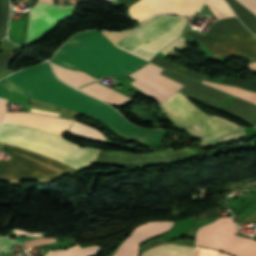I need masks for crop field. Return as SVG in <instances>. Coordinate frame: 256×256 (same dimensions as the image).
I'll list each match as a JSON object with an SVG mask.
<instances>
[{
    "mask_svg": "<svg viewBox=\"0 0 256 256\" xmlns=\"http://www.w3.org/2000/svg\"><path fill=\"white\" fill-rule=\"evenodd\" d=\"M242 22L256 35V17L235 0H226ZM240 20V21H241Z\"/></svg>",
    "mask_w": 256,
    "mask_h": 256,
    "instance_id": "obj_20",
    "label": "crop field"
},
{
    "mask_svg": "<svg viewBox=\"0 0 256 256\" xmlns=\"http://www.w3.org/2000/svg\"><path fill=\"white\" fill-rule=\"evenodd\" d=\"M76 5L68 8L39 3L30 11L26 44L33 43L54 30L58 23L72 17Z\"/></svg>",
    "mask_w": 256,
    "mask_h": 256,
    "instance_id": "obj_8",
    "label": "crop field"
},
{
    "mask_svg": "<svg viewBox=\"0 0 256 256\" xmlns=\"http://www.w3.org/2000/svg\"><path fill=\"white\" fill-rule=\"evenodd\" d=\"M161 74L185 85L179 91L216 107H218L229 97L227 94L203 86L195 81L179 76L166 69H164Z\"/></svg>",
    "mask_w": 256,
    "mask_h": 256,
    "instance_id": "obj_14",
    "label": "crop field"
},
{
    "mask_svg": "<svg viewBox=\"0 0 256 256\" xmlns=\"http://www.w3.org/2000/svg\"><path fill=\"white\" fill-rule=\"evenodd\" d=\"M29 234L30 233H28V232L14 229L9 235H27V236H29ZM9 235H7V236H9Z\"/></svg>",
    "mask_w": 256,
    "mask_h": 256,
    "instance_id": "obj_33",
    "label": "crop field"
},
{
    "mask_svg": "<svg viewBox=\"0 0 256 256\" xmlns=\"http://www.w3.org/2000/svg\"><path fill=\"white\" fill-rule=\"evenodd\" d=\"M52 60L96 77L128 74L147 62L117 48L99 31L74 35Z\"/></svg>",
    "mask_w": 256,
    "mask_h": 256,
    "instance_id": "obj_3",
    "label": "crop field"
},
{
    "mask_svg": "<svg viewBox=\"0 0 256 256\" xmlns=\"http://www.w3.org/2000/svg\"><path fill=\"white\" fill-rule=\"evenodd\" d=\"M43 234V233H42ZM41 233H32L31 236H40ZM42 236V235H41Z\"/></svg>",
    "mask_w": 256,
    "mask_h": 256,
    "instance_id": "obj_36",
    "label": "crop field"
},
{
    "mask_svg": "<svg viewBox=\"0 0 256 256\" xmlns=\"http://www.w3.org/2000/svg\"><path fill=\"white\" fill-rule=\"evenodd\" d=\"M158 107L169 120L191 134L195 140L215 137L242 128L221 117L204 113L179 92Z\"/></svg>",
    "mask_w": 256,
    "mask_h": 256,
    "instance_id": "obj_5",
    "label": "crop field"
},
{
    "mask_svg": "<svg viewBox=\"0 0 256 256\" xmlns=\"http://www.w3.org/2000/svg\"><path fill=\"white\" fill-rule=\"evenodd\" d=\"M225 110L246 119L256 126V105L237 98Z\"/></svg>",
    "mask_w": 256,
    "mask_h": 256,
    "instance_id": "obj_18",
    "label": "crop field"
},
{
    "mask_svg": "<svg viewBox=\"0 0 256 256\" xmlns=\"http://www.w3.org/2000/svg\"><path fill=\"white\" fill-rule=\"evenodd\" d=\"M6 113V105L5 100L0 99V124L2 122V119Z\"/></svg>",
    "mask_w": 256,
    "mask_h": 256,
    "instance_id": "obj_32",
    "label": "crop field"
},
{
    "mask_svg": "<svg viewBox=\"0 0 256 256\" xmlns=\"http://www.w3.org/2000/svg\"><path fill=\"white\" fill-rule=\"evenodd\" d=\"M173 224L170 221H154L138 226L113 256H138L140 242L164 231H168Z\"/></svg>",
    "mask_w": 256,
    "mask_h": 256,
    "instance_id": "obj_13",
    "label": "crop field"
},
{
    "mask_svg": "<svg viewBox=\"0 0 256 256\" xmlns=\"http://www.w3.org/2000/svg\"><path fill=\"white\" fill-rule=\"evenodd\" d=\"M80 90H82L94 97H97L101 100L115 103V104H122V103H125L130 100L127 97H125L124 95H122L118 92H115L110 88L99 85L97 83L88 85Z\"/></svg>",
    "mask_w": 256,
    "mask_h": 256,
    "instance_id": "obj_15",
    "label": "crop field"
},
{
    "mask_svg": "<svg viewBox=\"0 0 256 256\" xmlns=\"http://www.w3.org/2000/svg\"><path fill=\"white\" fill-rule=\"evenodd\" d=\"M151 62L153 63H156L160 66H163L177 74H180V75H183L185 77H188V78H191V79H194L196 81H199L201 82V80L204 78V75H201V74H198V73H195L187 68H184L180 65H177L175 63H172L168 60H165L163 58H160L158 56L154 57Z\"/></svg>",
    "mask_w": 256,
    "mask_h": 256,
    "instance_id": "obj_19",
    "label": "crop field"
},
{
    "mask_svg": "<svg viewBox=\"0 0 256 256\" xmlns=\"http://www.w3.org/2000/svg\"><path fill=\"white\" fill-rule=\"evenodd\" d=\"M51 64H52L55 74L62 81L66 82L74 87H79L81 85H84L86 83L96 80L95 78H93L83 72L69 70V69L60 67L52 62H51Z\"/></svg>",
    "mask_w": 256,
    "mask_h": 256,
    "instance_id": "obj_16",
    "label": "crop field"
},
{
    "mask_svg": "<svg viewBox=\"0 0 256 256\" xmlns=\"http://www.w3.org/2000/svg\"><path fill=\"white\" fill-rule=\"evenodd\" d=\"M9 91L87 114L102 121L118 135L136 139L145 145L157 140L164 132L133 126L107 104L58 80L48 62L1 79L0 97L6 98Z\"/></svg>",
    "mask_w": 256,
    "mask_h": 256,
    "instance_id": "obj_1",
    "label": "crop field"
},
{
    "mask_svg": "<svg viewBox=\"0 0 256 256\" xmlns=\"http://www.w3.org/2000/svg\"><path fill=\"white\" fill-rule=\"evenodd\" d=\"M237 232L238 227L231 217L219 218L198 230L196 245L219 249L236 256H256V241L237 237Z\"/></svg>",
    "mask_w": 256,
    "mask_h": 256,
    "instance_id": "obj_7",
    "label": "crop field"
},
{
    "mask_svg": "<svg viewBox=\"0 0 256 256\" xmlns=\"http://www.w3.org/2000/svg\"><path fill=\"white\" fill-rule=\"evenodd\" d=\"M3 122L27 125L50 131L60 136L67 131L69 125L72 123L71 120L17 112H8ZM46 131L3 123L0 131V141L41 152L66 164L72 165L76 169L88 166L94 162L99 152L98 149L80 148L78 145ZM2 146L34 160L52 165L63 171L71 169L62 163L33 152L4 144H2Z\"/></svg>",
    "mask_w": 256,
    "mask_h": 256,
    "instance_id": "obj_2",
    "label": "crop field"
},
{
    "mask_svg": "<svg viewBox=\"0 0 256 256\" xmlns=\"http://www.w3.org/2000/svg\"><path fill=\"white\" fill-rule=\"evenodd\" d=\"M135 0H118V5L132 3Z\"/></svg>",
    "mask_w": 256,
    "mask_h": 256,
    "instance_id": "obj_34",
    "label": "crop field"
},
{
    "mask_svg": "<svg viewBox=\"0 0 256 256\" xmlns=\"http://www.w3.org/2000/svg\"><path fill=\"white\" fill-rule=\"evenodd\" d=\"M185 34L200 40L214 56L240 54L256 59V37L237 18L216 22L205 37L190 30Z\"/></svg>",
    "mask_w": 256,
    "mask_h": 256,
    "instance_id": "obj_6",
    "label": "crop field"
},
{
    "mask_svg": "<svg viewBox=\"0 0 256 256\" xmlns=\"http://www.w3.org/2000/svg\"><path fill=\"white\" fill-rule=\"evenodd\" d=\"M196 153L198 152L184 147L177 149L175 151L172 148H169L167 150L158 151L151 154H129L101 150L95 162L119 163L123 165H138L153 162H166L178 160L187 156L194 155Z\"/></svg>",
    "mask_w": 256,
    "mask_h": 256,
    "instance_id": "obj_10",
    "label": "crop field"
},
{
    "mask_svg": "<svg viewBox=\"0 0 256 256\" xmlns=\"http://www.w3.org/2000/svg\"><path fill=\"white\" fill-rule=\"evenodd\" d=\"M204 0H140L129 9L136 20L141 21L158 12L183 15L196 14Z\"/></svg>",
    "mask_w": 256,
    "mask_h": 256,
    "instance_id": "obj_11",
    "label": "crop field"
},
{
    "mask_svg": "<svg viewBox=\"0 0 256 256\" xmlns=\"http://www.w3.org/2000/svg\"><path fill=\"white\" fill-rule=\"evenodd\" d=\"M218 19L236 16L224 0H207L205 3Z\"/></svg>",
    "mask_w": 256,
    "mask_h": 256,
    "instance_id": "obj_23",
    "label": "crop field"
},
{
    "mask_svg": "<svg viewBox=\"0 0 256 256\" xmlns=\"http://www.w3.org/2000/svg\"><path fill=\"white\" fill-rule=\"evenodd\" d=\"M203 84L211 86L213 88L225 91L227 93H230L232 95H235L237 97L243 98L245 100H248L250 102H253L256 104V94L255 93H251V92H247L238 88H234V87H230V86H226V85H220V84H214V83H210V82H206L203 81Z\"/></svg>",
    "mask_w": 256,
    "mask_h": 256,
    "instance_id": "obj_22",
    "label": "crop field"
},
{
    "mask_svg": "<svg viewBox=\"0 0 256 256\" xmlns=\"http://www.w3.org/2000/svg\"><path fill=\"white\" fill-rule=\"evenodd\" d=\"M58 174L37 162L14 153L8 162L0 161V177L6 179L24 177L51 178Z\"/></svg>",
    "mask_w": 256,
    "mask_h": 256,
    "instance_id": "obj_12",
    "label": "crop field"
},
{
    "mask_svg": "<svg viewBox=\"0 0 256 256\" xmlns=\"http://www.w3.org/2000/svg\"><path fill=\"white\" fill-rule=\"evenodd\" d=\"M74 130L76 131H79V132H82V133H85V134H89V135H94V136H99V137H103V138H106L104 135H102L100 132L90 128V127H87L85 125H82L78 122H74L72 127ZM69 129V131L79 135V136H82V137H86V138H90V139H94V140H98V141H102L104 142L105 139L103 138H99V137H94V136H89V135H85V134H82V133H78L76 131H74L73 129Z\"/></svg>",
    "mask_w": 256,
    "mask_h": 256,
    "instance_id": "obj_24",
    "label": "crop field"
},
{
    "mask_svg": "<svg viewBox=\"0 0 256 256\" xmlns=\"http://www.w3.org/2000/svg\"><path fill=\"white\" fill-rule=\"evenodd\" d=\"M242 5H244L251 12L256 14V0H238Z\"/></svg>",
    "mask_w": 256,
    "mask_h": 256,
    "instance_id": "obj_30",
    "label": "crop field"
},
{
    "mask_svg": "<svg viewBox=\"0 0 256 256\" xmlns=\"http://www.w3.org/2000/svg\"><path fill=\"white\" fill-rule=\"evenodd\" d=\"M184 43H186V40L182 38V36L180 38H178L176 41H174L172 44H170L168 47H166L164 50H162L161 52L165 53L171 49H177L179 48L181 45H183Z\"/></svg>",
    "mask_w": 256,
    "mask_h": 256,
    "instance_id": "obj_29",
    "label": "crop field"
},
{
    "mask_svg": "<svg viewBox=\"0 0 256 256\" xmlns=\"http://www.w3.org/2000/svg\"><path fill=\"white\" fill-rule=\"evenodd\" d=\"M187 20L179 16L155 15L130 31L103 34L117 47L149 61L181 36Z\"/></svg>",
    "mask_w": 256,
    "mask_h": 256,
    "instance_id": "obj_4",
    "label": "crop field"
},
{
    "mask_svg": "<svg viewBox=\"0 0 256 256\" xmlns=\"http://www.w3.org/2000/svg\"><path fill=\"white\" fill-rule=\"evenodd\" d=\"M244 135H246V133H245L244 129H242V130L236 131V132L231 133V134L223 135V136H220L218 138L211 139V140H208V141H202V142H203L204 146L214 145V144H219V143H222L224 141L231 140V139H234V138H238V137H241V136H244Z\"/></svg>",
    "mask_w": 256,
    "mask_h": 256,
    "instance_id": "obj_25",
    "label": "crop field"
},
{
    "mask_svg": "<svg viewBox=\"0 0 256 256\" xmlns=\"http://www.w3.org/2000/svg\"><path fill=\"white\" fill-rule=\"evenodd\" d=\"M14 243H16V241L7 239V238H1L0 239V251L1 254H9L12 253L11 249L9 248L10 246H12Z\"/></svg>",
    "mask_w": 256,
    "mask_h": 256,
    "instance_id": "obj_27",
    "label": "crop field"
},
{
    "mask_svg": "<svg viewBox=\"0 0 256 256\" xmlns=\"http://www.w3.org/2000/svg\"><path fill=\"white\" fill-rule=\"evenodd\" d=\"M246 223H256V211L252 212L250 215H248L245 219H243L240 222V224Z\"/></svg>",
    "mask_w": 256,
    "mask_h": 256,
    "instance_id": "obj_31",
    "label": "crop field"
},
{
    "mask_svg": "<svg viewBox=\"0 0 256 256\" xmlns=\"http://www.w3.org/2000/svg\"><path fill=\"white\" fill-rule=\"evenodd\" d=\"M162 70L163 68L149 63L140 70L130 74L136 79L131 84L162 103L183 86L159 74Z\"/></svg>",
    "mask_w": 256,
    "mask_h": 256,
    "instance_id": "obj_9",
    "label": "crop field"
},
{
    "mask_svg": "<svg viewBox=\"0 0 256 256\" xmlns=\"http://www.w3.org/2000/svg\"><path fill=\"white\" fill-rule=\"evenodd\" d=\"M222 83L227 85H235L248 90L256 91V83H249L242 80L223 79Z\"/></svg>",
    "mask_w": 256,
    "mask_h": 256,
    "instance_id": "obj_26",
    "label": "crop field"
},
{
    "mask_svg": "<svg viewBox=\"0 0 256 256\" xmlns=\"http://www.w3.org/2000/svg\"><path fill=\"white\" fill-rule=\"evenodd\" d=\"M194 248L167 244L157 246L141 256H192Z\"/></svg>",
    "mask_w": 256,
    "mask_h": 256,
    "instance_id": "obj_17",
    "label": "crop field"
},
{
    "mask_svg": "<svg viewBox=\"0 0 256 256\" xmlns=\"http://www.w3.org/2000/svg\"><path fill=\"white\" fill-rule=\"evenodd\" d=\"M39 1H43V2H46V3H50V4H51V1H52V0H39Z\"/></svg>",
    "mask_w": 256,
    "mask_h": 256,
    "instance_id": "obj_37",
    "label": "crop field"
},
{
    "mask_svg": "<svg viewBox=\"0 0 256 256\" xmlns=\"http://www.w3.org/2000/svg\"><path fill=\"white\" fill-rule=\"evenodd\" d=\"M98 249L99 246L82 248L77 245L67 250L49 251L46 256H88L90 254L97 253Z\"/></svg>",
    "mask_w": 256,
    "mask_h": 256,
    "instance_id": "obj_21",
    "label": "crop field"
},
{
    "mask_svg": "<svg viewBox=\"0 0 256 256\" xmlns=\"http://www.w3.org/2000/svg\"><path fill=\"white\" fill-rule=\"evenodd\" d=\"M54 241H55V238H44V239H35V240L25 241L24 244L26 245V247H30V246L42 245V244H46Z\"/></svg>",
    "mask_w": 256,
    "mask_h": 256,
    "instance_id": "obj_28",
    "label": "crop field"
},
{
    "mask_svg": "<svg viewBox=\"0 0 256 256\" xmlns=\"http://www.w3.org/2000/svg\"><path fill=\"white\" fill-rule=\"evenodd\" d=\"M249 69H250L251 71L256 72V62H255V63H250V64H249Z\"/></svg>",
    "mask_w": 256,
    "mask_h": 256,
    "instance_id": "obj_35",
    "label": "crop field"
}]
</instances>
